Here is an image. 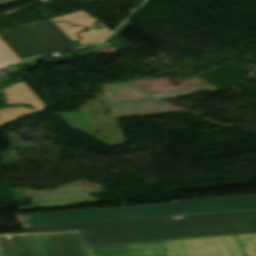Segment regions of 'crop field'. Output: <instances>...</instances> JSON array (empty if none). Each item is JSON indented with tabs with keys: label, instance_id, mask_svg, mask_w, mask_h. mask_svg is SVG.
I'll use <instances>...</instances> for the list:
<instances>
[{
	"label": "crop field",
	"instance_id": "obj_1",
	"mask_svg": "<svg viewBox=\"0 0 256 256\" xmlns=\"http://www.w3.org/2000/svg\"><path fill=\"white\" fill-rule=\"evenodd\" d=\"M78 224L85 246L256 232V211Z\"/></svg>",
	"mask_w": 256,
	"mask_h": 256
},
{
	"label": "crop field",
	"instance_id": "obj_2",
	"mask_svg": "<svg viewBox=\"0 0 256 256\" xmlns=\"http://www.w3.org/2000/svg\"><path fill=\"white\" fill-rule=\"evenodd\" d=\"M256 209V194L173 201L172 204L21 216L24 227L71 224L190 213Z\"/></svg>",
	"mask_w": 256,
	"mask_h": 256
},
{
	"label": "crop field",
	"instance_id": "obj_14",
	"mask_svg": "<svg viewBox=\"0 0 256 256\" xmlns=\"http://www.w3.org/2000/svg\"><path fill=\"white\" fill-rule=\"evenodd\" d=\"M1 82H3V81H1Z\"/></svg>",
	"mask_w": 256,
	"mask_h": 256
},
{
	"label": "crop field",
	"instance_id": "obj_8",
	"mask_svg": "<svg viewBox=\"0 0 256 256\" xmlns=\"http://www.w3.org/2000/svg\"><path fill=\"white\" fill-rule=\"evenodd\" d=\"M111 32H109L107 29L103 28L100 30H91L87 33L82 32L79 35L83 37L82 40L79 41L80 44L85 45L89 43H93L96 41H100L105 39Z\"/></svg>",
	"mask_w": 256,
	"mask_h": 256
},
{
	"label": "crop field",
	"instance_id": "obj_3",
	"mask_svg": "<svg viewBox=\"0 0 256 256\" xmlns=\"http://www.w3.org/2000/svg\"><path fill=\"white\" fill-rule=\"evenodd\" d=\"M85 248L88 256H256V233Z\"/></svg>",
	"mask_w": 256,
	"mask_h": 256
},
{
	"label": "crop field",
	"instance_id": "obj_12",
	"mask_svg": "<svg viewBox=\"0 0 256 256\" xmlns=\"http://www.w3.org/2000/svg\"><path fill=\"white\" fill-rule=\"evenodd\" d=\"M16 1H20V0H0V5L16 2Z\"/></svg>",
	"mask_w": 256,
	"mask_h": 256
},
{
	"label": "crop field",
	"instance_id": "obj_11",
	"mask_svg": "<svg viewBox=\"0 0 256 256\" xmlns=\"http://www.w3.org/2000/svg\"><path fill=\"white\" fill-rule=\"evenodd\" d=\"M36 60L37 59L34 58V59H31V60H27V61H23V62H20L18 64H15L14 66L17 67V66H21V65H24V64H31V65L35 66V65H37Z\"/></svg>",
	"mask_w": 256,
	"mask_h": 256
},
{
	"label": "crop field",
	"instance_id": "obj_13",
	"mask_svg": "<svg viewBox=\"0 0 256 256\" xmlns=\"http://www.w3.org/2000/svg\"><path fill=\"white\" fill-rule=\"evenodd\" d=\"M5 104H7V100H5V102H4ZM31 105V104H30ZM26 108V107H25ZM29 109V108H28Z\"/></svg>",
	"mask_w": 256,
	"mask_h": 256
},
{
	"label": "crop field",
	"instance_id": "obj_9",
	"mask_svg": "<svg viewBox=\"0 0 256 256\" xmlns=\"http://www.w3.org/2000/svg\"><path fill=\"white\" fill-rule=\"evenodd\" d=\"M27 233L78 230L77 224L26 228Z\"/></svg>",
	"mask_w": 256,
	"mask_h": 256
},
{
	"label": "crop field",
	"instance_id": "obj_10",
	"mask_svg": "<svg viewBox=\"0 0 256 256\" xmlns=\"http://www.w3.org/2000/svg\"><path fill=\"white\" fill-rule=\"evenodd\" d=\"M67 36H69L74 42L75 40L79 39L75 35L76 32L84 29L82 27H74L69 25L68 23H55Z\"/></svg>",
	"mask_w": 256,
	"mask_h": 256
},
{
	"label": "crop field",
	"instance_id": "obj_4",
	"mask_svg": "<svg viewBox=\"0 0 256 256\" xmlns=\"http://www.w3.org/2000/svg\"><path fill=\"white\" fill-rule=\"evenodd\" d=\"M74 42L47 21L0 34V68L30 56L74 48Z\"/></svg>",
	"mask_w": 256,
	"mask_h": 256
},
{
	"label": "crop field",
	"instance_id": "obj_7",
	"mask_svg": "<svg viewBox=\"0 0 256 256\" xmlns=\"http://www.w3.org/2000/svg\"><path fill=\"white\" fill-rule=\"evenodd\" d=\"M51 21H68L73 25H80V26H93L91 22H94L90 16H88L83 11L77 12L74 14L66 15L63 17L51 19Z\"/></svg>",
	"mask_w": 256,
	"mask_h": 256
},
{
	"label": "crop field",
	"instance_id": "obj_6",
	"mask_svg": "<svg viewBox=\"0 0 256 256\" xmlns=\"http://www.w3.org/2000/svg\"><path fill=\"white\" fill-rule=\"evenodd\" d=\"M3 91L6 94V99H8V103H31L37 108L35 110L18 108L0 111V126L20 117L40 111L45 107L43 101H40L36 97V95L23 83L12 85L4 89Z\"/></svg>",
	"mask_w": 256,
	"mask_h": 256
},
{
	"label": "crop field",
	"instance_id": "obj_5",
	"mask_svg": "<svg viewBox=\"0 0 256 256\" xmlns=\"http://www.w3.org/2000/svg\"><path fill=\"white\" fill-rule=\"evenodd\" d=\"M0 256H87L78 231L0 235Z\"/></svg>",
	"mask_w": 256,
	"mask_h": 256
}]
</instances>
